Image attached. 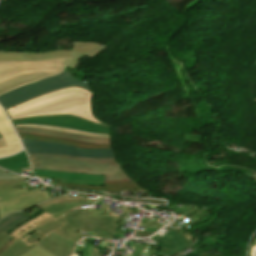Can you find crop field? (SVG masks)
<instances>
[{"mask_svg":"<svg viewBox=\"0 0 256 256\" xmlns=\"http://www.w3.org/2000/svg\"><path fill=\"white\" fill-rule=\"evenodd\" d=\"M104 48L99 44L74 42L72 51L58 50L38 54L0 52V94L60 73L66 64L75 69L84 55L94 58Z\"/></svg>","mask_w":256,"mask_h":256,"instance_id":"obj_1","label":"crop field"},{"mask_svg":"<svg viewBox=\"0 0 256 256\" xmlns=\"http://www.w3.org/2000/svg\"><path fill=\"white\" fill-rule=\"evenodd\" d=\"M93 95L92 92L81 87H67L44 93L8 108L6 112L11 121L32 117L72 115L86 121L108 126L93 116L91 108Z\"/></svg>","mask_w":256,"mask_h":256,"instance_id":"obj_2","label":"crop field"},{"mask_svg":"<svg viewBox=\"0 0 256 256\" xmlns=\"http://www.w3.org/2000/svg\"><path fill=\"white\" fill-rule=\"evenodd\" d=\"M30 160L36 164L32 168L71 172L106 175L105 182L133 180L122 171L114 159H81L68 156L50 154H31Z\"/></svg>","mask_w":256,"mask_h":256,"instance_id":"obj_3","label":"crop field"},{"mask_svg":"<svg viewBox=\"0 0 256 256\" xmlns=\"http://www.w3.org/2000/svg\"><path fill=\"white\" fill-rule=\"evenodd\" d=\"M92 203L94 202L86 201L83 198L79 197L64 198V196H62L38 205V207H40L46 213L24 224L9 235L3 232L0 233V256L6 255L8 252L21 244L23 241H21L19 238L27 232L31 231L32 229L62 214H66L75 210H81L80 205H90Z\"/></svg>","mask_w":256,"mask_h":256,"instance_id":"obj_4","label":"crop field"},{"mask_svg":"<svg viewBox=\"0 0 256 256\" xmlns=\"http://www.w3.org/2000/svg\"><path fill=\"white\" fill-rule=\"evenodd\" d=\"M59 221L56 219L27 233L24 235L22 240L25 242L15 248L6 256H19L29 249L34 247L36 244L47 251L53 253L56 256H69L72 253L73 246L77 243L71 240H67L59 237L51 231L61 226Z\"/></svg>","mask_w":256,"mask_h":256,"instance_id":"obj_5","label":"crop field"},{"mask_svg":"<svg viewBox=\"0 0 256 256\" xmlns=\"http://www.w3.org/2000/svg\"><path fill=\"white\" fill-rule=\"evenodd\" d=\"M73 85L82 86L89 90L87 84H83L82 82L76 80L64 70L61 74L56 76L25 85L11 92L0 95V104L4 107V109H6L15 104L38 96L44 92Z\"/></svg>","mask_w":256,"mask_h":256,"instance_id":"obj_6","label":"crop field"},{"mask_svg":"<svg viewBox=\"0 0 256 256\" xmlns=\"http://www.w3.org/2000/svg\"><path fill=\"white\" fill-rule=\"evenodd\" d=\"M28 152L31 153H50L82 158H114L111 149L93 150L73 147L60 143L34 141L21 139Z\"/></svg>","mask_w":256,"mask_h":256,"instance_id":"obj_7","label":"crop field"},{"mask_svg":"<svg viewBox=\"0 0 256 256\" xmlns=\"http://www.w3.org/2000/svg\"><path fill=\"white\" fill-rule=\"evenodd\" d=\"M69 222L79 230H90L101 238L111 240L119 217H87V209L66 214Z\"/></svg>","mask_w":256,"mask_h":256,"instance_id":"obj_8","label":"crop field"},{"mask_svg":"<svg viewBox=\"0 0 256 256\" xmlns=\"http://www.w3.org/2000/svg\"><path fill=\"white\" fill-rule=\"evenodd\" d=\"M43 124L69 129L83 130L91 133L110 134V128L83 121L77 117L62 116L48 118H33L14 121L13 124Z\"/></svg>","mask_w":256,"mask_h":256,"instance_id":"obj_9","label":"crop field"},{"mask_svg":"<svg viewBox=\"0 0 256 256\" xmlns=\"http://www.w3.org/2000/svg\"><path fill=\"white\" fill-rule=\"evenodd\" d=\"M50 199V196L47 191L41 192L39 188L21 195L19 197L4 201L0 203V218L6 214L28 209L42 201Z\"/></svg>","mask_w":256,"mask_h":256,"instance_id":"obj_10","label":"crop field"},{"mask_svg":"<svg viewBox=\"0 0 256 256\" xmlns=\"http://www.w3.org/2000/svg\"><path fill=\"white\" fill-rule=\"evenodd\" d=\"M15 128L17 132H23V133L33 134V135L62 138V139H68V140L87 143V144H110V138L109 139L94 138V137L76 135V134L60 132V131L33 128V127H15Z\"/></svg>","mask_w":256,"mask_h":256,"instance_id":"obj_11","label":"crop field"},{"mask_svg":"<svg viewBox=\"0 0 256 256\" xmlns=\"http://www.w3.org/2000/svg\"><path fill=\"white\" fill-rule=\"evenodd\" d=\"M37 176L64 179V183L84 184V185H104L105 176L87 175V174H71L51 171H41L33 169Z\"/></svg>","mask_w":256,"mask_h":256,"instance_id":"obj_12","label":"crop field"},{"mask_svg":"<svg viewBox=\"0 0 256 256\" xmlns=\"http://www.w3.org/2000/svg\"><path fill=\"white\" fill-rule=\"evenodd\" d=\"M151 238L156 240L160 244V246L164 248H169L172 250L168 254V256H171L174 253L182 251L184 249H187L189 246L185 237L173 229H171V231L167 233L165 236H163L162 238L157 235Z\"/></svg>","mask_w":256,"mask_h":256,"instance_id":"obj_13","label":"crop field"},{"mask_svg":"<svg viewBox=\"0 0 256 256\" xmlns=\"http://www.w3.org/2000/svg\"><path fill=\"white\" fill-rule=\"evenodd\" d=\"M56 185L69 186V187H72V188H81V189L108 191V192L119 193V194H120L122 188H127V189H142V190H143V188H139L137 182H135V181L105 183V186H104V187H101V186L73 185V184H64V183H57ZM144 191L148 192L147 190H144ZM148 193H149V192H148Z\"/></svg>","mask_w":256,"mask_h":256,"instance_id":"obj_14","label":"crop field"},{"mask_svg":"<svg viewBox=\"0 0 256 256\" xmlns=\"http://www.w3.org/2000/svg\"><path fill=\"white\" fill-rule=\"evenodd\" d=\"M0 166L19 174L21 167H30L25 151L9 158L0 159Z\"/></svg>","mask_w":256,"mask_h":256,"instance_id":"obj_15","label":"crop field"},{"mask_svg":"<svg viewBox=\"0 0 256 256\" xmlns=\"http://www.w3.org/2000/svg\"><path fill=\"white\" fill-rule=\"evenodd\" d=\"M28 219H30V217L23 212L9 214L7 217L0 220V232L3 231L7 233Z\"/></svg>","mask_w":256,"mask_h":256,"instance_id":"obj_16","label":"crop field"},{"mask_svg":"<svg viewBox=\"0 0 256 256\" xmlns=\"http://www.w3.org/2000/svg\"><path fill=\"white\" fill-rule=\"evenodd\" d=\"M60 222H62L64 225L59 227L58 229L52 231L64 238H68V239H71V240H74V241H77L82 237L81 235H79L77 233V230L73 225H71L68 220L66 219L65 215H62L58 218Z\"/></svg>","mask_w":256,"mask_h":256,"instance_id":"obj_17","label":"crop field"},{"mask_svg":"<svg viewBox=\"0 0 256 256\" xmlns=\"http://www.w3.org/2000/svg\"><path fill=\"white\" fill-rule=\"evenodd\" d=\"M0 134L4 137L8 145L19 142L11 128V125L6 115L4 114L1 108H0Z\"/></svg>","mask_w":256,"mask_h":256,"instance_id":"obj_18","label":"crop field"},{"mask_svg":"<svg viewBox=\"0 0 256 256\" xmlns=\"http://www.w3.org/2000/svg\"><path fill=\"white\" fill-rule=\"evenodd\" d=\"M18 134L20 138L60 142V143H66V144H70L78 147L93 148V149L111 148V145H87V144H81V143L72 142L68 140H62V139L46 138V137L33 136V135L22 134V133H18Z\"/></svg>","mask_w":256,"mask_h":256,"instance_id":"obj_19","label":"crop field"},{"mask_svg":"<svg viewBox=\"0 0 256 256\" xmlns=\"http://www.w3.org/2000/svg\"><path fill=\"white\" fill-rule=\"evenodd\" d=\"M26 187L24 180L0 181V202L10 199L8 192Z\"/></svg>","mask_w":256,"mask_h":256,"instance_id":"obj_20","label":"crop field"},{"mask_svg":"<svg viewBox=\"0 0 256 256\" xmlns=\"http://www.w3.org/2000/svg\"><path fill=\"white\" fill-rule=\"evenodd\" d=\"M14 126H33V127H40V128H47V129H54V130L66 131V132H71V133H76V134H83V135L94 136V137H102V138H109V137H110V135L91 134V133H87V132H83V131L62 129V128H56V127H50V126H42V125H27V124H22V125H14Z\"/></svg>","mask_w":256,"mask_h":256,"instance_id":"obj_21","label":"crop field"},{"mask_svg":"<svg viewBox=\"0 0 256 256\" xmlns=\"http://www.w3.org/2000/svg\"><path fill=\"white\" fill-rule=\"evenodd\" d=\"M22 150L20 143L0 148V157L15 154Z\"/></svg>","mask_w":256,"mask_h":256,"instance_id":"obj_22","label":"crop field"},{"mask_svg":"<svg viewBox=\"0 0 256 256\" xmlns=\"http://www.w3.org/2000/svg\"><path fill=\"white\" fill-rule=\"evenodd\" d=\"M21 256H54V255L36 245L30 251H28L27 253Z\"/></svg>","mask_w":256,"mask_h":256,"instance_id":"obj_23","label":"crop field"},{"mask_svg":"<svg viewBox=\"0 0 256 256\" xmlns=\"http://www.w3.org/2000/svg\"><path fill=\"white\" fill-rule=\"evenodd\" d=\"M26 177L17 176L15 174H12L10 172H0V180H6V179H22Z\"/></svg>","mask_w":256,"mask_h":256,"instance_id":"obj_24","label":"crop field"},{"mask_svg":"<svg viewBox=\"0 0 256 256\" xmlns=\"http://www.w3.org/2000/svg\"><path fill=\"white\" fill-rule=\"evenodd\" d=\"M24 193H27L25 188L17 190V191L10 192V195L13 198V197L19 196V195L24 194Z\"/></svg>","mask_w":256,"mask_h":256,"instance_id":"obj_25","label":"crop field"},{"mask_svg":"<svg viewBox=\"0 0 256 256\" xmlns=\"http://www.w3.org/2000/svg\"><path fill=\"white\" fill-rule=\"evenodd\" d=\"M198 2H199V0H193V1L189 2V3L187 4V6L185 7V9H184V14H185V11H186V10L192 8V7L195 6Z\"/></svg>","mask_w":256,"mask_h":256,"instance_id":"obj_26","label":"crop field"},{"mask_svg":"<svg viewBox=\"0 0 256 256\" xmlns=\"http://www.w3.org/2000/svg\"><path fill=\"white\" fill-rule=\"evenodd\" d=\"M141 246V245H140ZM144 245H142L141 247H136L135 249V253H134V256H139L140 252L142 251Z\"/></svg>","mask_w":256,"mask_h":256,"instance_id":"obj_27","label":"crop field"},{"mask_svg":"<svg viewBox=\"0 0 256 256\" xmlns=\"http://www.w3.org/2000/svg\"><path fill=\"white\" fill-rule=\"evenodd\" d=\"M250 256H256V247L252 246Z\"/></svg>","mask_w":256,"mask_h":256,"instance_id":"obj_28","label":"crop field"},{"mask_svg":"<svg viewBox=\"0 0 256 256\" xmlns=\"http://www.w3.org/2000/svg\"><path fill=\"white\" fill-rule=\"evenodd\" d=\"M6 145H7V143L5 142V140L3 139V137L0 138V147L6 146Z\"/></svg>","mask_w":256,"mask_h":256,"instance_id":"obj_29","label":"crop field"},{"mask_svg":"<svg viewBox=\"0 0 256 256\" xmlns=\"http://www.w3.org/2000/svg\"><path fill=\"white\" fill-rule=\"evenodd\" d=\"M201 256H223V255L201 253Z\"/></svg>","mask_w":256,"mask_h":256,"instance_id":"obj_30","label":"crop field"},{"mask_svg":"<svg viewBox=\"0 0 256 256\" xmlns=\"http://www.w3.org/2000/svg\"><path fill=\"white\" fill-rule=\"evenodd\" d=\"M167 51H168V56L171 58L172 62H177V61L174 60L173 57L171 56L170 50H169L168 46H167Z\"/></svg>","mask_w":256,"mask_h":256,"instance_id":"obj_31","label":"crop field"},{"mask_svg":"<svg viewBox=\"0 0 256 256\" xmlns=\"http://www.w3.org/2000/svg\"><path fill=\"white\" fill-rule=\"evenodd\" d=\"M216 238H217V237H210V240H211L213 243H216V241H215Z\"/></svg>","mask_w":256,"mask_h":256,"instance_id":"obj_32","label":"crop field"},{"mask_svg":"<svg viewBox=\"0 0 256 256\" xmlns=\"http://www.w3.org/2000/svg\"><path fill=\"white\" fill-rule=\"evenodd\" d=\"M252 245H255L256 246V237H255V239H254V241H253V244Z\"/></svg>","mask_w":256,"mask_h":256,"instance_id":"obj_33","label":"crop field"},{"mask_svg":"<svg viewBox=\"0 0 256 256\" xmlns=\"http://www.w3.org/2000/svg\"><path fill=\"white\" fill-rule=\"evenodd\" d=\"M71 256H80V254H75V253H74V254H73V255H71Z\"/></svg>","mask_w":256,"mask_h":256,"instance_id":"obj_34","label":"crop field"},{"mask_svg":"<svg viewBox=\"0 0 256 256\" xmlns=\"http://www.w3.org/2000/svg\"><path fill=\"white\" fill-rule=\"evenodd\" d=\"M253 179L256 181V176H255V177H253Z\"/></svg>","mask_w":256,"mask_h":256,"instance_id":"obj_35","label":"crop field"},{"mask_svg":"<svg viewBox=\"0 0 256 256\" xmlns=\"http://www.w3.org/2000/svg\"><path fill=\"white\" fill-rule=\"evenodd\" d=\"M0 137H2V136L0 135ZM0 171H4V170L0 169Z\"/></svg>","mask_w":256,"mask_h":256,"instance_id":"obj_36","label":"crop field"}]
</instances>
